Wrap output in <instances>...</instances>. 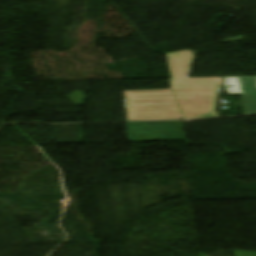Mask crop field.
<instances>
[{"mask_svg": "<svg viewBox=\"0 0 256 256\" xmlns=\"http://www.w3.org/2000/svg\"><path fill=\"white\" fill-rule=\"evenodd\" d=\"M194 56L190 50L166 55L171 90L125 91L128 121L217 117L222 78L188 79Z\"/></svg>", "mask_w": 256, "mask_h": 256, "instance_id": "crop-field-1", "label": "crop field"}, {"mask_svg": "<svg viewBox=\"0 0 256 256\" xmlns=\"http://www.w3.org/2000/svg\"><path fill=\"white\" fill-rule=\"evenodd\" d=\"M130 141L184 140L182 122L127 123Z\"/></svg>", "mask_w": 256, "mask_h": 256, "instance_id": "crop-field-2", "label": "crop field"}, {"mask_svg": "<svg viewBox=\"0 0 256 256\" xmlns=\"http://www.w3.org/2000/svg\"><path fill=\"white\" fill-rule=\"evenodd\" d=\"M227 94H243L244 114L256 113V76L224 77Z\"/></svg>", "mask_w": 256, "mask_h": 256, "instance_id": "crop-field-3", "label": "crop field"}, {"mask_svg": "<svg viewBox=\"0 0 256 256\" xmlns=\"http://www.w3.org/2000/svg\"><path fill=\"white\" fill-rule=\"evenodd\" d=\"M236 256H256V253L253 252H241V251H235Z\"/></svg>", "mask_w": 256, "mask_h": 256, "instance_id": "crop-field-4", "label": "crop field"}]
</instances>
